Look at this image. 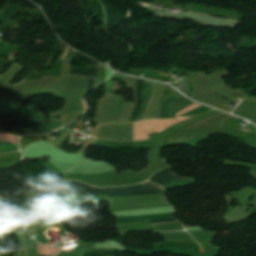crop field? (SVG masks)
<instances>
[{
    "mask_svg": "<svg viewBox=\"0 0 256 256\" xmlns=\"http://www.w3.org/2000/svg\"><path fill=\"white\" fill-rule=\"evenodd\" d=\"M109 194L110 198L113 197H128V196H145L153 194L164 193V190L157 187L156 185L144 182L138 185L130 187H118V188H104ZM102 189H98L92 186L84 185L82 183L62 182L55 189L53 194L61 195H89V194H107Z\"/></svg>",
    "mask_w": 256,
    "mask_h": 256,
    "instance_id": "obj_1",
    "label": "crop field"
},
{
    "mask_svg": "<svg viewBox=\"0 0 256 256\" xmlns=\"http://www.w3.org/2000/svg\"><path fill=\"white\" fill-rule=\"evenodd\" d=\"M192 103L193 102L180 94L164 98L160 104L159 118L174 117L173 114L179 112Z\"/></svg>",
    "mask_w": 256,
    "mask_h": 256,
    "instance_id": "obj_2",
    "label": "crop field"
},
{
    "mask_svg": "<svg viewBox=\"0 0 256 256\" xmlns=\"http://www.w3.org/2000/svg\"><path fill=\"white\" fill-rule=\"evenodd\" d=\"M184 179H188V178H181V177H176L172 175L171 167H170V168H166L156 172L148 181H151L158 185H162V184L171 183V182L184 180Z\"/></svg>",
    "mask_w": 256,
    "mask_h": 256,
    "instance_id": "obj_3",
    "label": "crop field"
},
{
    "mask_svg": "<svg viewBox=\"0 0 256 256\" xmlns=\"http://www.w3.org/2000/svg\"><path fill=\"white\" fill-rule=\"evenodd\" d=\"M154 84L155 83H153V82H148V81L144 82L143 93H142V102H141L140 107L137 111V114H136V117H135L134 121L141 120L142 114L145 111V109L148 105L149 99L151 97V93H152V89L154 87Z\"/></svg>",
    "mask_w": 256,
    "mask_h": 256,
    "instance_id": "obj_4",
    "label": "crop field"
},
{
    "mask_svg": "<svg viewBox=\"0 0 256 256\" xmlns=\"http://www.w3.org/2000/svg\"><path fill=\"white\" fill-rule=\"evenodd\" d=\"M167 217H172V213H170V214H161V215L119 217L118 222H128V221H135V220H138V219H155V218H167ZM164 222H177V221L174 218L150 220V223H164ZM165 224H170V223H165Z\"/></svg>",
    "mask_w": 256,
    "mask_h": 256,
    "instance_id": "obj_5",
    "label": "crop field"
},
{
    "mask_svg": "<svg viewBox=\"0 0 256 256\" xmlns=\"http://www.w3.org/2000/svg\"><path fill=\"white\" fill-rule=\"evenodd\" d=\"M70 73L81 75V76H93L96 78V66H92L84 69H76L71 67Z\"/></svg>",
    "mask_w": 256,
    "mask_h": 256,
    "instance_id": "obj_6",
    "label": "crop field"
},
{
    "mask_svg": "<svg viewBox=\"0 0 256 256\" xmlns=\"http://www.w3.org/2000/svg\"><path fill=\"white\" fill-rule=\"evenodd\" d=\"M143 82L144 80H141V79H138V84H137V104L135 105L134 109H133V113H132V117H131V121L133 120V117H134V114L139 106V103L141 101V91L140 89H142V86H143Z\"/></svg>",
    "mask_w": 256,
    "mask_h": 256,
    "instance_id": "obj_7",
    "label": "crop field"
},
{
    "mask_svg": "<svg viewBox=\"0 0 256 256\" xmlns=\"http://www.w3.org/2000/svg\"><path fill=\"white\" fill-rule=\"evenodd\" d=\"M12 150H17L16 145L10 143V142H2L0 141V152L4 151H12Z\"/></svg>",
    "mask_w": 256,
    "mask_h": 256,
    "instance_id": "obj_8",
    "label": "crop field"
},
{
    "mask_svg": "<svg viewBox=\"0 0 256 256\" xmlns=\"http://www.w3.org/2000/svg\"><path fill=\"white\" fill-rule=\"evenodd\" d=\"M93 83H94V79L93 78H89L88 86H87V92H89L93 88Z\"/></svg>",
    "mask_w": 256,
    "mask_h": 256,
    "instance_id": "obj_9",
    "label": "crop field"
},
{
    "mask_svg": "<svg viewBox=\"0 0 256 256\" xmlns=\"http://www.w3.org/2000/svg\"><path fill=\"white\" fill-rule=\"evenodd\" d=\"M65 54H66V51H65V53L63 54V56L61 57L62 60L64 59Z\"/></svg>",
    "mask_w": 256,
    "mask_h": 256,
    "instance_id": "obj_10",
    "label": "crop field"
},
{
    "mask_svg": "<svg viewBox=\"0 0 256 256\" xmlns=\"http://www.w3.org/2000/svg\"><path fill=\"white\" fill-rule=\"evenodd\" d=\"M8 55H9L10 59H13L10 53H8Z\"/></svg>",
    "mask_w": 256,
    "mask_h": 256,
    "instance_id": "obj_11",
    "label": "crop field"
}]
</instances>
